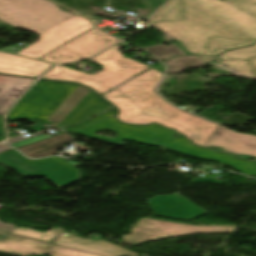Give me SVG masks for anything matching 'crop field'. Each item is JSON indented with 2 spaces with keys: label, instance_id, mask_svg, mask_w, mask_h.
Wrapping results in <instances>:
<instances>
[{
  "label": "crop field",
  "instance_id": "20",
  "mask_svg": "<svg viewBox=\"0 0 256 256\" xmlns=\"http://www.w3.org/2000/svg\"><path fill=\"white\" fill-rule=\"evenodd\" d=\"M114 114H116V110H115V109L112 110V111H110V112H107V113H105V114L99 115V116H97V117H95V118H92V119H90V120H87V121H85V122H83V123H80V124H78V125H76V126L70 127V128H68L66 131H71V130H73V129L79 128V127H81V126L87 125V124H89V123L95 122V121H97V120L103 119V118H105V117H108V116H111V115H114Z\"/></svg>",
  "mask_w": 256,
  "mask_h": 256
},
{
  "label": "crop field",
  "instance_id": "24",
  "mask_svg": "<svg viewBox=\"0 0 256 256\" xmlns=\"http://www.w3.org/2000/svg\"><path fill=\"white\" fill-rule=\"evenodd\" d=\"M14 225L5 224L0 222V231L10 233Z\"/></svg>",
  "mask_w": 256,
  "mask_h": 256
},
{
  "label": "crop field",
  "instance_id": "16",
  "mask_svg": "<svg viewBox=\"0 0 256 256\" xmlns=\"http://www.w3.org/2000/svg\"><path fill=\"white\" fill-rule=\"evenodd\" d=\"M167 65L166 73H180L182 70L191 68V67H199L205 65L199 59L193 56H181L176 57L175 59L167 60L164 62Z\"/></svg>",
  "mask_w": 256,
  "mask_h": 256
},
{
  "label": "crop field",
  "instance_id": "13",
  "mask_svg": "<svg viewBox=\"0 0 256 256\" xmlns=\"http://www.w3.org/2000/svg\"><path fill=\"white\" fill-rule=\"evenodd\" d=\"M0 252L15 256L47 254L48 244L0 233Z\"/></svg>",
  "mask_w": 256,
  "mask_h": 256
},
{
  "label": "crop field",
  "instance_id": "7",
  "mask_svg": "<svg viewBox=\"0 0 256 256\" xmlns=\"http://www.w3.org/2000/svg\"><path fill=\"white\" fill-rule=\"evenodd\" d=\"M237 226H193L174 222L142 218L130 231L123 236V242L130 245L151 240L166 239L193 233L232 232Z\"/></svg>",
  "mask_w": 256,
  "mask_h": 256
},
{
  "label": "crop field",
  "instance_id": "6",
  "mask_svg": "<svg viewBox=\"0 0 256 256\" xmlns=\"http://www.w3.org/2000/svg\"><path fill=\"white\" fill-rule=\"evenodd\" d=\"M0 160L23 177L44 176L60 188L80 178L79 170L61 157L29 161L12 149L0 154Z\"/></svg>",
  "mask_w": 256,
  "mask_h": 256
},
{
  "label": "crop field",
  "instance_id": "22",
  "mask_svg": "<svg viewBox=\"0 0 256 256\" xmlns=\"http://www.w3.org/2000/svg\"><path fill=\"white\" fill-rule=\"evenodd\" d=\"M48 137H50V136H48L46 134H43V135L36 136V137L30 138V139H27V140H23V141H20V142H17V143H13V144H10V145L13 146V147H16V146H20V145H23V144H27V143L37 141V140H40V139H44V138H48Z\"/></svg>",
  "mask_w": 256,
  "mask_h": 256
},
{
  "label": "crop field",
  "instance_id": "14",
  "mask_svg": "<svg viewBox=\"0 0 256 256\" xmlns=\"http://www.w3.org/2000/svg\"><path fill=\"white\" fill-rule=\"evenodd\" d=\"M33 81L32 79L0 76V114L4 115Z\"/></svg>",
  "mask_w": 256,
  "mask_h": 256
},
{
  "label": "crop field",
  "instance_id": "12",
  "mask_svg": "<svg viewBox=\"0 0 256 256\" xmlns=\"http://www.w3.org/2000/svg\"><path fill=\"white\" fill-rule=\"evenodd\" d=\"M50 66L52 65L0 52V74L36 78Z\"/></svg>",
  "mask_w": 256,
  "mask_h": 256
},
{
  "label": "crop field",
  "instance_id": "9",
  "mask_svg": "<svg viewBox=\"0 0 256 256\" xmlns=\"http://www.w3.org/2000/svg\"><path fill=\"white\" fill-rule=\"evenodd\" d=\"M53 244L102 256H139L107 241L85 240L66 231L60 233Z\"/></svg>",
  "mask_w": 256,
  "mask_h": 256
},
{
  "label": "crop field",
  "instance_id": "26",
  "mask_svg": "<svg viewBox=\"0 0 256 256\" xmlns=\"http://www.w3.org/2000/svg\"><path fill=\"white\" fill-rule=\"evenodd\" d=\"M12 149L11 147L7 146L6 144H0V152Z\"/></svg>",
  "mask_w": 256,
  "mask_h": 256
},
{
  "label": "crop field",
  "instance_id": "18",
  "mask_svg": "<svg viewBox=\"0 0 256 256\" xmlns=\"http://www.w3.org/2000/svg\"><path fill=\"white\" fill-rule=\"evenodd\" d=\"M145 49L155 55L161 61L168 59L174 55H186L173 43L168 45L167 47H165L164 45H154Z\"/></svg>",
  "mask_w": 256,
  "mask_h": 256
},
{
  "label": "crop field",
  "instance_id": "11",
  "mask_svg": "<svg viewBox=\"0 0 256 256\" xmlns=\"http://www.w3.org/2000/svg\"><path fill=\"white\" fill-rule=\"evenodd\" d=\"M196 57L203 62L215 60L243 75L256 78V44L248 48L230 50L219 57Z\"/></svg>",
  "mask_w": 256,
  "mask_h": 256
},
{
  "label": "crop field",
  "instance_id": "8",
  "mask_svg": "<svg viewBox=\"0 0 256 256\" xmlns=\"http://www.w3.org/2000/svg\"><path fill=\"white\" fill-rule=\"evenodd\" d=\"M116 41H118L116 38L99 31L95 27L41 59L53 63L75 61L94 55ZM69 57H72V59H69Z\"/></svg>",
  "mask_w": 256,
  "mask_h": 256
},
{
  "label": "crop field",
  "instance_id": "25",
  "mask_svg": "<svg viewBox=\"0 0 256 256\" xmlns=\"http://www.w3.org/2000/svg\"><path fill=\"white\" fill-rule=\"evenodd\" d=\"M0 141L5 139V129H4V122L3 117L0 116Z\"/></svg>",
  "mask_w": 256,
  "mask_h": 256
},
{
  "label": "crop field",
  "instance_id": "23",
  "mask_svg": "<svg viewBox=\"0 0 256 256\" xmlns=\"http://www.w3.org/2000/svg\"><path fill=\"white\" fill-rule=\"evenodd\" d=\"M43 133H45V132L44 131L37 132V133L31 134V136L26 137V138H30V137H33V136H36V135H40V134H43ZM26 138H24L22 136L16 137V138H12V139L7 140V143L10 144V143L17 142V141H20V140H23V139H26Z\"/></svg>",
  "mask_w": 256,
  "mask_h": 256
},
{
  "label": "crop field",
  "instance_id": "10",
  "mask_svg": "<svg viewBox=\"0 0 256 256\" xmlns=\"http://www.w3.org/2000/svg\"><path fill=\"white\" fill-rule=\"evenodd\" d=\"M203 146H218L225 151L256 157V136L236 133L221 126Z\"/></svg>",
  "mask_w": 256,
  "mask_h": 256
},
{
  "label": "crop field",
  "instance_id": "15",
  "mask_svg": "<svg viewBox=\"0 0 256 256\" xmlns=\"http://www.w3.org/2000/svg\"><path fill=\"white\" fill-rule=\"evenodd\" d=\"M74 139V137L62 132L60 135L48 140L40 141L31 145L19 148L25 155L32 158H39L56 154L57 147ZM73 141V140H72Z\"/></svg>",
  "mask_w": 256,
  "mask_h": 256
},
{
  "label": "crop field",
  "instance_id": "19",
  "mask_svg": "<svg viewBox=\"0 0 256 256\" xmlns=\"http://www.w3.org/2000/svg\"><path fill=\"white\" fill-rule=\"evenodd\" d=\"M51 255L52 256H97V255H92V254L70 250V249L53 246V245H51Z\"/></svg>",
  "mask_w": 256,
  "mask_h": 256
},
{
  "label": "crop field",
  "instance_id": "21",
  "mask_svg": "<svg viewBox=\"0 0 256 256\" xmlns=\"http://www.w3.org/2000/svg\"><path fill=\"white\" fill-rule=\"evenodd\" d=\"M167 0H144L148 10L152 13L155 9L165 3Z\"/></svg>",
  "mask_w": 256,
  "mask_h": 256
},
{
  "label": "crop field",
  "instance_id": "17",
  "mask_svg": "<svg viewBox=\"0 0 256 256\" xmlns=\"http://www.w3.org/2000/svg\"><path fill=\"white\" fill-rule=\"evenodd\" d=\"M59 231L60 230L52 228L51 230L43 233L25 228H13L11 233L50 243Z\"/></svg>",
  "mask_w": 256,
  "mask_h": 256
},
{
  "label": "crop field",
  "instance_id": "5",
  "mask_svg": "<svg viewBox=\"0 0 256 256\" xmlns=\"http://www.w3.org/2000/svg\"><path fill=\"white\" fill-rule=\"evenodd\" d=\"M118 48L116 45L91 59L103 65V70L95 75H87L63 66H57L50 70L43 79L79 82L95 89L101 95L124 80L149 68L124 57Z\"/></svg>",
  "mask_w": 256,
  "mask_h": 256
},
{
  "label": "crop field",
  "instance_id": "2",
  "mask_svg": "<svg viewBox=\"0 0 256 256\" xmlns=\"http://www.w3.org/2000/svg\"><path fill=\"white\" fill-rule=\"evenodd\" d=\"M162 77L161 72L150 69L102 97L118 109L120 122L141 125L158 122L202 146L219 126L165 102L154 90Z\"/></svg>",
  "mask_w": 256,
  "mask_h": 256
},
{
  "label": "crop field",
  "instance_id": "1",
  "mask_svg": "<svg viewBox=\"0 0 256 256\" xmlns=\"http://www.w3.org/2000/svg\"><path fill=\"white\" fill-rule=\"evenodd\" d=\"M151 23L193 54L216 56L256 41V0H171Z\"/></svg>",
  "mask_w": 256,
  "mask_h": 256
},
{
  "label": "crop field",
  "instance_id": "3",
  "mask_svg": "<svg viewBox=\"0 0 256 256\" xmlns=\"http://www.w3.org/2000/svg\"><path fill=\"white\" fill-rule=\"evenodd\" d=\"M111 107L84 86L40 80L10 111L7 120L37 123L46 118V122L64 129Z\"/></svg>",
  "mask_w": 256,
  "mask_h": 256
},
{
  "label": "crop field",
  "instance_id": "4",
  "mask_svg": "<svg viewBox=\"0 0 256 256\" xmlns=\"http://www.w3.org/2000/svg\"><path fill=\"white\" fill-rule=\"evenodd\" d=\"M0 20L39 35L38 42L17 53L33 59L94 27L46 0H0Z\"/></svg>",
  "mask_w": 256,
  "mask_h": 256
}]
</instances>
